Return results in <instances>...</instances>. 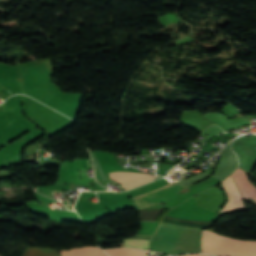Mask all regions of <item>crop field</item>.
Segmentation results:
<instances>
[{
    "instance_id": "8a807250",
    "label": "crop field",
    "mask_w": 256,
    "mask_h": 256,
    "mask_svg": "<svg viewBox=\"0 0 256 256\" xmlns=\"http://www.w3.org/2000/svg\"><path fill=\"white\" fill-rule=\"evenodd\" d=\"M201 233L202 229L161 223L150 242L149 249L167 254L186 251L201 252Z\"/></svg>"
},
{
    "instance_id": "ac0d7876",
    "label": "crop field",
    "mask_w": 256,
    "mask_h": 256,
    "mask_svg": "<svg viewBox=\"0 0 256 256\" xmlns=\"http://www.w3.org/2000/svg\"><path fill=\"white\" fill-rule=\"evenodd\" d=\"M181 186L170 184L161 188L152 190L146 194L133 198L137 208H147L160 205L162 201L167 202L172 195L182 190Z\"/></svg>"
},
{
    "instance_id": "34b2d1b8",
    "label": "crop field",
    "mask_w": 256,
    "mask_h": 256,
    "mask_svg": "<svg viewBox=\"0 0 256 256\" xmlns=\"http://www.w3.org/2000/svg\"><path fill=\"white\" fill-rule=\"evenodd\" d=\"M110 178L119 182L125 190L130 189L135 186L142 185L158 176L137 174L132 172H115L108 173Z\"/></svg>"
},
{
    "instance_id": "412701ff",
    "label": "crop field",
    "mask_w": 256,
    "mask_h": 256,
    "mask_svg": "<svg viewBox=\"0 0 256 256\" xmlns=\"http://www.w3.org/2000/svg\"><path fill=\"white\" fill-rule=\"evenodd\" d=\"M238 189L243 197L250 198L255 197L256 198V186H254L246 177V174L243 170L237 169L232 174Z\"/></svg>"
},
{
    "instance_id": "f4fd0767",
    "label": "crop field",
    "mask_w": 256,
    "mask_h": 256,
    "mask_svg": "<svg viewBox=\"0 0 256 256\" xmlns=\"http://www.w3.org/2000/svg\"><path fill=\"white\" fill-rule=\"evenodd\" d=\"M110 256H145L146 252L135 249H109L105 250Z\"/></svg>"
},
{
    "instance_id": "dd49c442",
    "label": "crop field",
    "mask_w": 256,
    "mask_h": 256,
    "mask_svg": "<svg viewBox=\"0 0 256 256\" xmlns=\"http://www.w3.org/2000/svg\"><path fill=\"white\" fill-rule=\"evenodd\" d=\"M23 256H59L56 251L45 248H28Z\"/></svg>"
},
{
    "instance_id": "e52e79f7",
    "label": "crop field",
    "mask_w": 256,
    "mask_h": 256,
    "mask_svg": "<svg viewBox=\"0 0 256 256\" xmlns=\"http://www.w3.org/2000/svg\"><path fill=\"white\" fill-rule=\"evenodd\" d=\"M149 240L130 239L125 240V246L136 248H147Z\"/></svg>"
},
{
    "instance_id": "d8731c3e",
    "label": "crop field",
    "mask_w": 256,
    "mask_h": 256,
    "mask_svg": "<svg viewBox=\"0 0 256 256\" xmlns=\"http://www.w3.org/2000/svg\"><path fill=\"white\" fill-rule=\"evenodd\" d=\"M88 164H89V161H88ZM90 166V165H89Z\"/></svg>"
}]
</instances>
